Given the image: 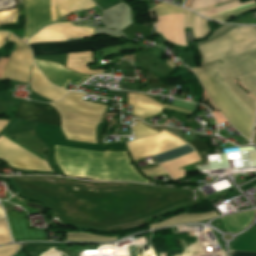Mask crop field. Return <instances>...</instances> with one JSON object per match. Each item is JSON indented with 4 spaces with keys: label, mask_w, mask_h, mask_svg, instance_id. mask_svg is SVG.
<instances>
[{
    "label": "crop field",
    "mask_w": 256,
    "mask_h": 256,
    "mask_svg": "<svg viewBox=\"0 0 256 256\" xmlns=\"http://www.w3.org/2000/svg\"><path fill=\"white\" fill-rule=\"evenodd\" d=\"M203 64L223 59L222 64L211 63L193 68L198 74L216 70L225 86L252 119L256 101L243 92L231 78H237L256 99V27L237 26L226 35L198 46ZM216 71L198 75L216 106L233 127L250 139L253 122L222 83Z\"/></svg>",
    "instance_id": "8a807250"
},
{
    "label": "crop field",
    "mask_w": 256,
    "mask_h": 256,
    "mask_svg": "<svg viewBox=\"0 0 256 256\" xmlns=\"http://www.w3.org/2000/svg\"><path fill=\"white\" fill-rule=\"evenodd\" d=\"M52 160L65 175L149 183L132 167L127 152L94 153L52 146Z\"/></svg>",
    "instance_id": "ac0d7876"
},
{
    "label": "crop field",
    "mask_w": 256,
    "mask_h": 256,
    "mask_svg": "<svg viewBox=\"0 0 256 256\" xmlns=\"http://www.w3.org/2000/svg\"><path fill=\"white\" fill-rule=\"evenodd\" d=\"M126 145L133 160H135L188 144L179 137L163 130L159 134L150 137L126 142ZM154 157L174 180L188 174L183 169L178 170V168L201 160L190 145L154 155Z\"/></svg>",
    "instance_id": "34b2d1b8"
},
{
    "label": "crop field",
    "mask_w": 256,
    "mask_h": 256,
    "mask_svg": "<svg viewBox=\"0 0 256 256\" xmlns=\"http://www.w3.org/2000/svg\"><path fill=\"white\" fill-rule=\"evenodd\" d=\"M84 95L69 93L61 101L51 104L61 115V129L67 140L95 142V128L107 106L84 101Z\"/></svg>",
    "instance_id": "412701ff"
},
{
    "label": "crop field",
    "mask_w": 256,
    "mask_h": 256,
    "mask_svg": "<svg viewBox=\"0 0 256 256\" xmlns=\"http://www.w3.org/2000/svg\"><path fill=\"white\" fill-rule=\"evenodd\" d=\"M26 5V29L23 40L49 23L56 22L65 15L81 8L94 6L91 0H24Z\"/></svg>",
    "instance_id": "f4fd0767"
},
{
    "label": "crop field",
    "mask_w": 256,
    "mask_h": 256,
    "mask_svg": "<svg viewBox=\"0 0 256 256\" xmlns=\"http://www.w3.org/2000/svg\"><path fill=\"white\" fill-rule=\"evenodd\" d=\"M0 157L10 164L22 169L50 170L45 161L13 143L4 136H0Z\"/></svg>",
    "instance_id": "dd49c442"
},
{
    "label": "crop field",
    "mask_w": 256,
    "mask_h": 256,
    "mask_svg": "<svg viewBox=\"0 0 256 256\" xmlns=\"http://www.w3.org/2000/svg\"><path fill=\"white\" fill-rule=\"evenodd\" d=\"M95 29L73 26L69 22L51 24L42 28L37 34L32 36L27 44L37 42L66 41L69 38L87 37L93 35Z\"/></svg>",
    "instance_id": "e52e79f7"
},
{
    "label": "crop field",
    "mask_w": 256,
    "mask_h": 256,
    "mask_svg": "<svg viewBox=\"0 0 256 256\" xmlns=\"http://www.w3.org/2000/svg\"><path fill=\"white\" fill-rule=\"evenodd\" d=\"M16 44L11 53L6 79H14L28 83L29 69L33 65L32 53L27 45L19 41L14 35L9 34L8 39Z\"/></svg>",
    "instance_id": "d8731c3e"
},
{
    "label": "crop field",
    "mask_w": 256,
    "mask_h": 256,
    "mask_svg": "<svg viewBox=\"0 0 256 256\" xmlns=\"http://www.w3.org/2000/svg\"><path fill=\"white\" fill-rule=\"evenodd\" d=\"M34 56L38 55H58L62 53L97 51L100 48L94 41L76 40L70 42H52L29 45Z\"/></svg>",
    "instance_id": "5a996713"
},
{
    "label": "crop field",
    "mask_w": 256,
    "mask_h": 256,
    "mask_svg": "<svg viewBox=\"0 0 256 256\" xmlns=\"http://www.w3.org/2000/svg\"><path fill=\"white\" fill-rule=\"evenodd\" d=\"M13 117L60 126L58 112L48 104L22 101Z\"/></svg>",
    "instance_id": "3316defc"
},
{
    "label": "crop field",
    "mask_w": 256,
    "mask_h": 256,
    "mask_svg": "<svg viewBox=\"0 0 256 256\" xmlns=\"http://www.w3.org/2000/svg\"><path fill=\"white\" fill-rule=\"evenodd\" d=\"M37 67L48 80L61 88H65L68 82L78 85L87 77L86 75L70 72L64 67L49 61L34 59Z\"/></svg>",
    "instance_id": "28ad6ade"
},
{
    "label": "crop field",
    "mask_w": 256,
    "mask_h": 256,
    "mask_svg": "<svg viewBox=\"0 0 256 256\" xmlns=\"http://www.w3.org/2000/svg\"><path fill=\"white\" fill-rule=\"evenodd\" d=\"M13 241H49L46 230L29 229L24 216L5 210Z\"/></svg>",
    "instance_id": "d1516ede"
},
{
    "label": "crop field",
    "mask_w": 256,
    "mask_h": 256,
    "mask_svg": "<svg viewBox=\"0 0 256 256\" xmlns=\"http://www.w3.org/2000/svg\"><path fill=\"white\" fill-rule=\"evenodd\" d=\"M30 90L40 97L51 101H58L68 92L66 90L56 88L48 83L44 77L40 75L35 65L32 68Z\"/></svg>",
    "instance_id": "22f410ed"
},
{
    "label": "crop field",
    "mask_w": 256,
    "mask_h": 256,
    "mask_svg": "<svg viewBox=\"0 0 256 256\" xmlns=\"http://www.w3.org/2000/svg\"><path fill=\"white\" fill-rule=\"evenodd\" d=\"M128 104L133 106L132 114L141 118L158 114L163 108V106L142 94H129Z\"/></svg>",
    "instance_id": "cbeb9de0"
},
{
    "label": "crop field",
    "mask_w": 256,
    "mask_h": 256,
    "mask_svg": "<svg viewBox=\"0 0 256 256\" xmlns=\"http://www.w3.org/2000/svg\"><path fill=\"white\" fill-rule=\"evenodd\" d=\"M211 0H192V5L204 3ZM237 0H215L211 2H207L204 4L192 6L191 9L194 11L199 12L200 14L204 15L205 17L228 6L229 4L235 2ZM239 1V0H238Z\"/></svg>",
    "instance_id": "5142ce71"
},
{
    "label": "crop field",
    "mask_w": 256,
    "mask_h": 256,
    "mask_svg": "<svg viewBox=\"0 0 256 256\" xmlns=\"http://www.w3.org/2000/svg\"><path fill=\"white\" fill-rule=\"evenodd\" d=\"M212 217H216V214L214 213V211H210L208 213H202V214L180 215V216L171 218L169 220H166L164 222L153 224L152 228L159 227V226H165V225H171V224L191 223V222H195V221L207 220Z\"/></svg>",
    "instance_id": "d9b57169"
},
{
    "label": "crop field",
    "mask_w": 256,
    "mask_h": 256,
    "mask_svg": "<svg viewBox=\"0 0 256 256\" xmlns=\"http://www.w3.org/2000/svg\"><path fill=\"white\" fill-rule=\"evenodd\" d=\"M67 240L69 241H113L115 237H101L97 235H90L88 233H71L67 232Z\"/></svg>",
    "instance_id": "733c2abd"
},
{
    "label": "crop field",
    "mask_w": 256,
    "mask_h": 256,
    "mask_svg": "<svg viewBox=\"0 0 256 256\" xmlns=\"http://www.w3.org/2000/svg\"><path fill=\"white\" fill-rule=\"evenodd\" d=\"M135 122H136V125L131 127L133 130L135 139L158 133L156 131H153L147 128L145 125L141 124L136 120Z\"/></svg>",
    "instance_id": "4a817a6b"
},
{
    "label": "crop field",
    "mask_w": 256,
    "mask_h": 256,
    "mask_svg": "<svg viewBox=\"0 0 256 256\" xmlns=\"http://www.w3.org/2000/svg\"><path fill=\"white\" fill-rule=\"evenodd\" d=\"M11 242L5 220H0V244Z\"/></svg>",
    "instance_id": "bc2a9ffb"
},
{
    "label": "crop field",
    "mask_w": 256,
    "mask_h": 256,
    "mask_svg": "<svg viewBox=\"0 0 256 256\" xmlns=\"http://www.w3.org/2000/svg\"><path fill=\"white\" fill-rule=\"evenodd\" d=\"M234 26H229V25H223L221 27H219L217 30H215L206 40H203V41H200V42H197L196 44L197 45H200L204 42H207L215 37H218L222 34H224L225 32H227L228 30H230L231 28H233Z\"/></svg>",
    "instance_id": "214f88e0"
},
{
    "label": "crop field",
    "mask_w": 256,
    "mask_h": 256,
    "mask_svg": "<svg viewBox=\"0 0 256 256\" xmlns=\"http://www.w3.org/2000/svg\"><path fill=\"white\" fill-rule=\"evenodd\" d=\"M142 171L147 176L166 174L165 171L160 166L148 168V169H142Z\"/></svg>",
    "instance_id": "92a150f3"
},
{
    "label": "crop field",
    "mask_w": 256,
    "mask_h": 256,
    "mask_svg": "<svg viewBox=\"0 0 256 256\" xmlns=\"http://www.w3.org/2000/svg\"><path fill=\"white\" fill-rule=\"evenodd\" d=\"M19 244L10 245L6 247H0V256H10L18 248Z\"/></svg>",
    "instance_id": "dafd665d"
},
{
    "label": "crop field",
    "mask_w": 256,
    "mask_h": 256,
    "mask_svg": "<svg viewBox=\"0 0 256 256\" xmlns=\"http://www.w3.org/2000/svg\"><path fill=\"white\" fill-rule=\"evenodd\" d=\"M251 17V16H250ZM248 15L243 17L242 19L233 22V23H243V24H256V20L250 18Z\"/></svg>",
    "instance_id": "00972430"
},
{
    "label": "crop field",
    "mask_w": 256,
    "mask_h": 256,
    "mask_svg": "<svg viewBox=\"0 0 256 256\" xmlns=\"http://www.w3.org/2000/svg\"><path fill=\"white\" fill-rule=\"evenodd\" d=\"M231 255L232 256H256V253H246V252L232 251Z\"/></svg>",
    "instance_id": "a9b5d70f"
},
{
    "label": "crop field",
    "mask_w": 256,
    "mask_h": 256,
    "mask_svg": "<svg viewBox=\"0 0 256 256\" xmlns=\"http://www.w3.org/2000/svg\"><path fill=\"white\" fill-rule=\"evenodd\" d=\"M13 256H30L29 250L19 249V251Z\"/></svg>",
    "instance_id": "4177f3b9"
},
{
    "label": "crop field",
    "mask_w": 256,
    "mask_h": 256,
    "mask_svg": "<svg viewBox=\"0 0 256 256\" xmlns=\"http://www.w3.org/2000/svg\"><path fill=\"white\" fill-rule=\"evenodd\" d=\"M7 35L8 33L6 32H0V46L4 44Z\"/></svg>",
    "instance_id": "730fd06b"
},
{
    "label": "crop field",
    "mask_w": 256,
    "mask_h": 256,
    "mask_svg": "<svg viewBox=\"0 0 256 256\" xmlns=\"http://www.w3.org/2000/svg\"><path fill=\"white\" fill-rule=\"evenodd\" d=\"M164 107L168 108V109H172V110H176V111H180V112H184V113H188V114L192 115V112H188V111H185V110H182V109H178V108L167 106V105H165Z\"/></svg>",
    "instance_id": "eef30255"
},
{
    "label": "crop field",
    "mask_w": 256,
    "mask_h": 256,
    "mask_svg": "<svg viewBox=\"0 0 256 256\" xmlns=\"http://www.w3.org/2000/svg\"><path fill=\"white\" fill-rule=\"evenodd\" d=\"M9 123V121H0V132L4 129V127Z\"/></svg>",
    "instance_id": "ae1a2a85"
},
{
    "label": "crop field",
    "mask_w": 256,
    "mask_h": 256,
    "mask_svg": "<svg viewBox=\"0 0 256 256\" xmlns=\"http://www.w3.org/2000/svg\"><path fill=\"white\" fill-rule=\"evenodd\" d=\"M199 103L209 107L211 109V111H214V109L211 106H209L205 101H203V103H201V98H200Z\"/></svg>",
    "instance_id": "d3111659"
},
{
    "label": "crop field",
    "mask_w": 256,
    "mask_h": 256,
    "mask_svg": "<svg viewBox=\"0 0 256 256\" xmlns=\"http://www.w3.org/2000/svg\"><path fill=\"white\" fill-rule=\"evenodd\" d=\"M4 217H3V213H2V210H1V208H0V219H3Z\"/></svg>",
    "instance_id": "750c4746"
},
{
    "label": "crop field",
    "mask_w": 256,
    "mask_h": 256,
    "mask_svg": "<svg viewBox=\"0 0 256 256\" xmlns=\"http://www.w3.org/2000/svg\"><path fill=\"white\" fill-rule=\"evenodd\" d=\"M254 142H256V134H255Z\"/></svg>",
    "instance_id": "bd1437ed"
}]
</instances>
